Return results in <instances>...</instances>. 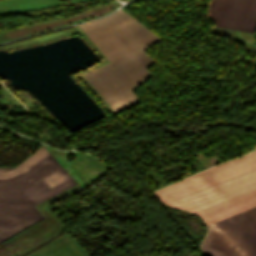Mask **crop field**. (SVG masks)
Masks as SVG:
<instances>
[{
    "label": "crop field",
    "mask_w": 256,
    "mask_h": 256,
    "mask_svg": "<svg viewBox=\"0 0 256 256\" xmlns=\"http://www.w3.org/2000/svg\"><path fill=\"white\" fill-rule=\"evenodd\" d=\"M162 202L200 215L208 225L256 205V151L154 192ZM208 256H256V206L210 224Z\"/></svg>",
    "instance_id": "1"
},
{
    "label": "crop field",
    "mask_w": 256,
    "mask_h": 256,
    "mask_svg": "<svg viewBox=\"0 0 256 256\" xmlns=\"http://www.w3.org/2000/svg\"><path fill=\"white\" fill-rule=\"evenodd\" d=\"M79 27L111 62L83 76L114 111L138 101L131 90L155 63L144 50L162 39L122 10Z\"/></svg>",
    "instance_id": "2"
},
{
    "label": "crop field",
    "mask_w": 256,
    "mask_h": 256,
    "mask_svg": "<svg viewBox=\"0 0 256 256\" xmlns=\"http://www.w3.org/2000/svg\"><path fill=\"white\" fill-rule=\"evenodd\" d=\"M48 156L41 148L15 168H0V179H7ZM59 168L50 156L7 180H0V242L45 218L34 204L76 185L67 172Z\"/></svg>",
    "instance_id": "3"
},
{
    "label": "crop field",
    "mask_w": 256,
    "mask_h": 256,
    "mask_svg": "<svg viewBox=\"0 0 256 256\" xmlns=\"http://www.w3.org/2000/svg\"><path fill=\"white\" fill-rule=\"evenodd\" d=\"M209 17L217 27L253 33L256 28V0H212Z\"/></svg>",
    "instance_id": "4"
}]
</instances>
